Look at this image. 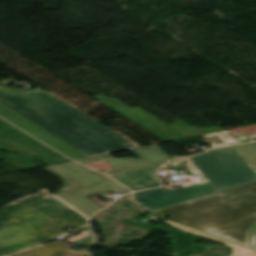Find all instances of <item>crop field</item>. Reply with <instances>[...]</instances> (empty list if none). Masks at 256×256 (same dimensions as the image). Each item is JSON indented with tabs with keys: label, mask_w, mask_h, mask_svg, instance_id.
Wrapping results in <instances>:
<instances>
[{
	"label": "crop field",
	"mask_w": 256,
	"mask_h": 256,
	"mask_svg": "<svg viewBox=\"0 0 256 256\" xmlns=\"http://www.w3.org/2000/svg\"><path fill=\"white\" fill-rule=\"evenodd\" d=\"M85 256H88V254H87V255H85Z\"/></svg>",
	"instance_id": "21"
},
{
	"label": "crop field",
	"mask_w": 256,
	"mask_h": 256,
	"mask_svg": "<svg viewBox=\"0 0 256 256\" xmlns=\"http://www.w3.org/2000/svg\"><path fill=\"white\" fill-rule=\"evenodd\" d=\"M133 154H135L140 160H134L132 157L130 158H114L109 154L101 155L89 159L78 160V162L82 164L96 162L104 160L113 168L108 171H104L109 176H113L121 170L125 169H134L138 167L148 166L151 163H160L165 162L167 160L178 158L182 156H169L163 150H161L157 145L133 149L130 150Z\"/></svg>",
	"instance_id": "6"
},
{
	"label": "crop field",
	"mask_w": 256,
	"mask_h": 256,
	"mask_svg": "<svg viewBox=\"0 0 256 256\" xmlns=\"http://www.w3.org/2000/svg\"><path fill=\"white\" fill-rule=\"evenodd\" d=\"M0 117L73 160L88 158L2 105Z\"/></svg>",
	"instance_id": "7"
},
{
	"label": "crop field",
	"mask_w": 256,
	"mask_h": 256,
	"mask_svg": "<svg viewBox=\"0 0 256 256\" xmlns=\"http://www.w3.org/2000/svg\"><path fill=\"white\" fill-rule=\"evenodd\" d=\"M228 143H239L241 142L233 133L230 131H224L219 133Z\"/></svg>",
	"instance_id": "18"
},
{
	"label": "crop field",
	"mask_w": 256,
	"mask_h": 256,
	"mask_svg": "<svg viewBox=\"0 0 256 256\" xmlns=\"http://www.w3.org/2000/svg\"><path fill=\"white\" fill-rule=\"evenodd\" d=\"M89 219L46 189L24 196L0 209V256L45 244L63 228Z\"/></svg>",
	"instance_id": "2"
},
{
	"label": "crop field",
	"mask_w": 256,
	"mask_h": 256,
	"mask_svg": "<svg viewBox=\"0 0 256 256\" xmlns=\"http://www.w3.org/2000/svg\"><path fill=\"white\" fill-rule=\"evenodd\" d=\"M213 192H216V190L207 182L175 191H167L163 188H159L135 193L132 197L135 202L143 205L152 212Z\"/></svg>",
	"instance_id": "5"
},
{
	"label": "crop field",
	"mask_w": 256,
	"mask_h": 256,
	"mask_svg": "<svg viewBox=\"0 0 256 256\" xmlns=\"http://www.w3.org/2000/svg\"><path fill=\"white\" fill-rule=\"evenodd\" d=\"M217 190L256 179L231 146L190 157Z\"/></svg>",
	"instance_id": "4"
},
{
	"label": "crop field",
	"mask_w": 256,
	"mask_h": 256,
	"mask_svg": "<svg viewBox=\"0 0 256 256\" xmlns=\"http://www.w3.org/2000/svg\"><path fill=\"white\" fill-rule=\"evenodd\" d=\"M0 103L88 157L139 147L46 91L0 88Z\"/></svg>",
	"instance_id": "1"
},
{
	"label": "crop field",
	"mask_w": 256,
	"mask_h": 256,
	"mask_svg": "<svg viewBox=\"0 0 256 256\" xmlns=\"http://www.w3.org/2000/svg\"><path fill=\"white\" fill-rule=\"evenodd\" d=\"M164 224L170 225L172 227L184 230L186 232H189V233L201 236V237H205V238H208V239L220 242V243H224V244L230 245V246H232L233 254L229 255V256H256V251L253 250V249H249V248L240 246L238 244H235V243L223 240V239H219V238L207 235L205 233L199 232L197 230L191 229L189 227H186V226H183V225H180V224L168 221V220H166L164 222Z\"/></svg>",
	"instance_id": "13"
},
{
	"label": "crop field",
	"mask_w": 256,
	"mask_h": 256,
	"mask_svg": "<svg viewBox=\"0 0 256 256\" xmlns=\"http://www.w3.org/2000/svg\"><path fill=\"white\" fill-rule=\"evenodd\" d=\"M44 169L62 178L63 185L58 191L94 184L108 178L99 173L91 172L74 162L44 167Z\"/></svg>",
	"instance_id": "9"
},
{
	"label": "crop field",
	"mask_w": 256,
	"mask_h": 256,
	"mask_svg": "<svg viewBox=\"0 0 256 256\" xmlns=\"http://www.w3.org/2000/svg\"><path fill=\"white\" fill-rule=\"evenodd\" d=\"M96 97L100 99V103L123 115L149 132L165 125L138 107H129L113 97H105L103 95Z\"/></svg>",
	"instance_id": "10"
},
{
	"label": "crop field",
	"mask_w": 256,
	"mask_h": 256,
	"mask_svg": "<svg viewBox=\"0 0 256 256\" xmlns=\"http://www.w3.org/2000/svg\"><path fill=\"white\" fill-rule=\"evenodd\" d=\"M192 127L198 129L199 131H201L204 134L223 131V129L219 126H211V127H203V128H199L197 126H192Z\"/></svg>",
	"instance_id": "19"
},
{
	"label": "crop field",
	"mask_w": 256,
	"mask_h": 256,
	"mask_svg": "<svg viewBox=\"0 0 256 256\" xmlns=\"http://www.w3.org/2000/svg\"><path fill=\"white\" fill-rule=\"evenodd\" d=\"M119 190L127 189L109 179L95 186L59 192L56 193V195L63 198L64 200H66L67 202L91 217V215L100 208L98 205L88 199L91 194Z\"/></svg>",
	"instance_id": "8"
},
{
	"label": "crop field",
	"mask_w": 256,
	"mask_h": 256,
	"mask_svg": "<svg viewBox=\"0 0 256 256\" xmlns=\"http://www.w3.org/2000/svg\"><path fill=\"white\" fill-rule=\"evenodd\" d=\"M170 127L175 129L177 132H179L180 134H182L186 138L202 135L201 132L192 128L191 126L185 128L180 124H175V125H171Z\"/></svg>",
	"instance_id": "16"
},
{
	"label": "crop field",
	"mask_w": 256,
	"mask_h": 256,
	"mask_svg": "<svg viewBox=\"0 0 256 256\" xmlns=\"http://www.w3.org/2000/svg\"><path fill=\"white\" fill-rule=\"evenodd\" d=\"M202 137L206 139L212 147L228 144L218 133L203 135Z\"/></svg>",
	"instance_id": "17"
},
{
	"label": "crop field",
	"mask_w": 256,
	"mask_h": 256,
	"mask_svg": "<svg viewBox=\"0 0 256 256\" xmlns=\"http://www.w3.org/2000/svg\"><path fill=\"white\" fill-rule=\"evenodd\" d=\"M232 147L256 173V142L234 145Z\"/></svg>",
	"instance_id": "14"
},
{
	"label": "crop field",
	"mask_w": 256,
	"mask_h": 256,
	"mask_svg": "<svg viewBox=\"0 0 256 256\" xmlns=\"http://www.w3.org/2000/svg\"><path fill=\"white\" fill-rule=\"evenodd\" d=\"M250 239H251L253 247L256 249V225L253 229L252 236Z\"/></svg>",
	"instance_id": "20"
},
{
	"label": "crop field",
	"mask_w": 256,
	"mask_h": 256,
	"mask_svg": "<svg viewBox=\"0 0 256 256\" xmlns=\"http://www.w3.org/2000/svg\"><path fill=\"white\" fill-rule=\"evenodd\" d=\"M161 165L162 164H156L139 170L121 172L113 177V179L126 185L131 190L157 187L160 185V182L155 176L154 171Z\"/></svg>",
	"instance_id": "11"
},
{
	"label": "crop field",
	"mask_w": 256,
	"mask_h": 256,
	"mask_svg": "<svg viewBox=\"0 0 256 256\" xmlns=\"http://www.w3.org/2000/svg\"><path fill=\"white\" fill-rule=\"evenodd\" d=\"M153 213L251 248L248 236L256 221V181Z\"/></svg>",
	"instance_id": "3"
},
{
	"label": "crop field",
	"mask_w": 256,
	"mask_h": 256,
	"mask_svg": "<svg viewBox=\"0 0 256 256\" xmlns=\"http://www.w3.org/2000/svg\"><path fill=\"white\" fill-rule=\"evenodd\" d=\"M87 251H71L64 243L56 242L12 256H83Z\"/></svg>",
	"instance_id": "12"
},
{
	"label": "crop field",
	"mask_w": 256,
	"mask_h": 256,
	"mask_svg": "<svg viewBox=\"0 0 256 256\" xmlns=\"http://www.w3.org/2000/svg\"><path fill=\"white\" fill-rule=\"evenodd\" d=\"M168 167L171 169H188L192 174L200 175V183L207 181L188 158L168 164Z\"/></svg>",
	"instance_id": "15"
}]
</instances>
